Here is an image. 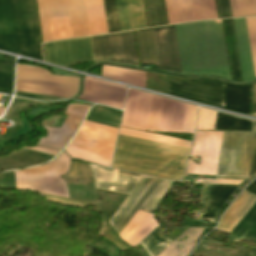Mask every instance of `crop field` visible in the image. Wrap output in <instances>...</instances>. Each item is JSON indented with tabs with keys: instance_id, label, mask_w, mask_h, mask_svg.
<instances>
[{
	"instance_id": "crop-field-58",
	"label": "crop field",
	"mask_w": 256,
	"mask_h": 256,
	"mask_svg": "<svg viewBox=\"0 0 256 256\" xmlns=\"http://www.w3.org/2000/svg\"><path fill=\"white\" fill-rule=\"evenodd\" d=\"M0 97H1V95H0Z\"/></svg>"
},
{
	"instance_id": "crop-field-17",
	"label": "crop field",
	"mask_w": 256,
	"mask_h": 256,
	"mask_svg": "<svg viewBox=\"0 0 256 256\" xmlns=\"http://www.w3.org/2000/svg\"><path fill=\"white\" fill-rule=\"evenodd\" d=\"M237 186L204 184L200 219L214 222L220 208Z\"/></svg>"
},
{
	"instance_id": "crop-field-14",
	"label": "crop field",
	"mask_w": 256,
	"mask_h": 256,
	"mask_svg": "<svg viewBox=\"0 0 256 256\" xmlns=\"http://www.w3.org/2000/svg\"><path fill=\"white\" fill-rule=\"evenodd\" d=\"M89 107L88 105L69 104L64 113L68 117L62 127H45L48 135L46 138H41L38 145L62 149L72 138Z\"/></svg>"
},
{
	"instance_id": "crop-field-47",
	"label": "crop field",
	"mask_w": 256,
	"mask_h": 256,
	"mask_svg": "<svg viewBox=\"0 0 256 256\" xmlns=\"http://www.w3.org/2000/svg\"><path fill=\"white\" fill-rule=\"evenodd\" d=\"M99 235L107 238L108 240L112 241L114 244H116L119 248H121L123 251L128 247L120 242V240L117 238V236L113 233V231L110 229V227L107 225L106 221L103 220V226L99 232Z\"/></svg>"
},
{
	"instance_id": "crop-field-57",
	"label": "crop field",
	"mask_w": 256,
	"mask_h": 256,
	"mask_svg": "<svg viewBox=\"0 0 256 256\" xmlns=\"http://www.w3.org/2000/svg\"><path fill=\"white\" fill-rule=\"evenodd\" d=\"M3 111H4V108H0V116L3 113Z\"/></svg>"
},
{
	"instance_id": "crop-field-46",
	"label": "crop field",
	"mask_w": 256,
	"mask_h": 256,
	"mask_svg": "<svg viewBox=\"0 0 256 256\" xmlns=\"http://www.w3.org/2000/svg\"><path fill=\"white\" fill-rule=\"evenodd\" d=\"M50 17L67 16L65 0H47Z\"/></svg>"
},
{
	"instance_id": "crop-field-31",
	"label": "crop field",
	"mask_w": 256,
	"mask_h": 256,
	"mask_svg": "<svg viewBox=\"0 0 256 256\" xmlns=\"http://www.w3.org/2000/svg\"><path fill=\"white\" fill-rule=\"evenodd\" d=\"M150 27L168 24L164 0H145Z\"/></svg>"
},
{
	"instance_id": "crop-field-12",
	"label": "crop field",
	"mask_w": 256,
	"mask_h": 256,
	"mask_svg": "<svg viewBox=\"0 0 256 256\" xmlns=\"http://www.w3.org/2000/svg\"><path fill=\"white\" fill-rule=\"evenodd\" d=\"M158 68L182 73L174 25L152 29Z\"/></svg>"
},
{
	"instance_id": "crop-field-34",
	"label": "crop field",
	"mask_w": 256,
	"mask_h": 256,
	"mask_svg": "<svg viewBox=\"0 0 256 256\" xmlns=\"http://www.w3.org/2000/svg\"><path fill=\"white\" fill-rule=\"evenodd\" d=\"M195 21L218 18L215 0H192Z\"/></svg>"
},
{
	"instance_id": "crop-field-20",
	"label": "crop field",
	"mask_w": 256,
	"mask_h": 256,
	"mask_svg": "<svg viewBox=\"0 0 256 256\" xmlns=\"http://www.w3.org/2000/svg\"><path fill=\"white\" fill-rule=\"evenodd\" d=\"M255 202L256 196L243 191L224 214L217 230L229 233Z\"/></svg>"
},
{
	"instance_id": "crop-field-37",
	"label": "crop field",
	"mask_w": 256,
	"mask_h": 256,
	"mask_svg": "<svg viewBox=\"0 0 256 256\" xmlns=\"http://www.w3.org/2000/svg\"><path fill=\"white\" fill-rule=\"evenodd\" d=\"M43 42L51 41L52 32L46 0H37Z\"/></svg>"
},
{
	"instance_id": "crop-field-27",
	"label": "crop field",
	"mask_w": 256,
	"mask_h": 256,
	"mask_svg": "<svg viewBox=\"0 0 256 256\" xmlns=\"http://www.w3.org/2000/svg\"><path fill=\"white\" fill-rule=\"evenodd\" d=\"M140 63L156 64L151 29L135 31Z\"/></svg>"
},
{
	"instance_id": "crop-field-3",
	"label": "crop field",
	"mask_w": 256,
	"mask_h": 256,
	"mask_svg": "<svg viewBox=\"0 0 256 256\" xmlns=\"http://www.w3.org/2000/svg\"><path fill=\"white\" fill-rule=\"evenodd\" d=\"M0 49L43 61L34 0H0Z\"/></svg>"
},
{
	"instance_id": "crop-field-11",
	"label": "crop field",
	"mask_w": 256,
	"mask_h": 256,
	"mask_svg": "<svg viewBox=\"0 0 256 256\" xmlns=\"http://www.w3.org/2000/svg\"><path fill=\"white\" fill-rule=\"evenodd\" d=\"M47 62L73 65L93 60L89 37L44 44Z\"/></svg>"
},
{
	"instance_id": "crop-field-39",
	"label": "crop field",
	"mask_w": 256,
	"mask_h": 256,
	"mask_svg": "<svg viewBox=\"0 0 256 256\" xmlns=\"http://www.w3.org/2000/svg\"><path fill=\"white\" fill-rule=\"evenodd\" d=\"M54 40L71 38L67 17L51 18Z\"/></svg>"
},
{
	"instance_id": "crop-field-1",
	"label": "crop field",
	"mask_w": 256,
	"mask_h": 256,
	"mask_svg": "<svg viewBox=\"0 0 256 256\" xmlns=\"http://www.w3.org/2000/svg\"><path fill=\"white\" fill-rule=\"evenodd\" d=\"M175 28L184 74L220 75L231 80L222 23L196 22Z\"/></svg>"
},
{
	"instance_id": "crop-field-23",
	"label": "crop field",
	"mask_w": 256,
	"mask_h": 256,
	"mask_svg": "<svg viewBox=\"0 0 256 256\" xmlns=\"http://www.w3.org/2000/svg\"><path fill=\"white\" fill-rule=\"evenodd\" d=\"M203 229L188 228L171 245H169L159 256H187L195 246ZM180 238L181 242L177 241Z\"/></svg>"
},
{
	"instance_id": "crop-field-32",
	"label": "crop field",
	"mask_w": 256,
	"mask_h": 256,
	"mask_svg": "<svg viewBox=\"0 0 256 256\" xmlns=\"http://www.w3.org/2000/svg\"><path fill=\"white\" fill-rule=\"evenodd\" d=\"M160 230L161 229L156 228L140 243L150 256H157L173 242L172 240L161 236L159 234Z\"/></svg>"
},
{
	"instance_id": "crop-field-51",
	"label": "crop field",
	"mask_w": 256,
	"mask_h": 256,
	"mask_svg": "<svg viewBox=\"0 0 256 256\" xmlns=\"http://www.w3.org/2000/svg\"><path fill=\"white\" fill-rule=\"evenodd\" d=\"M213 183V184H230L239 185L242 181H230V180H214V179H199L196 183Z\"/></svg>"
},
{
	"instance_id": "crop-field-44",
	"label": "crop field",
	"mask_w": 256,
	"mask_h": 256,
	"mask_svg": "<svg viewBox=\"0 0 256 256\" xmlns=\"http://www.w3.org/2000/svg\"><path fill=\"white\" fill-rule=\"evenodd\" d=\"M120 31L130 29L125 0H115Z\"/></svg>"
},
{
	"instance_id": "crop-field-26",
	"label": "crop field",
	"mask_w": 256,
	"mask_h": 256,
	"mask_svg": "<svg viewBox=\"0 0 256 256\" xmlns=\"http://www.w3.org/2000/svg\"><path fill=\"white\" fill-rule=\"evenodd\" d=\"M248 86H233L226 83L225 108L248 114Z\"/></svg>"
},
{
	"instance_id": "crop-field-49",
	"label": "crop field",
	"mask_w": 256,
	"mask_h": 256,
	"mask_svg": "<svg viewBox=\"0 0 256 256\" xmlns=\"http://www.w3.org/2000/svg\"><path fill=\"white\" fill-rule=\"evenodd\" d=\"M147 177V176H146ZM146 179L147 178H145V177H143L141 180H140V182L137 184V186L134 188V190L132 191V192H134L133 194H132V196H131V194L126 198V200L123 202V204L127 201V199H128V201L123 205V207H122V205L120 206V210H119V212H118V210H117V214H114V216L111 218V220L109 221L110 222V224H111V226L113 225V223L116 221V219L119 217V215L122 213V211L125 209V207L128 205V203L131 201V199L134 197V195L137 193V191L140 189V187L143 185V183L146 181ZM148 180V179H147ZM145 184V183H144Z\"/></svg>"
},
{
	"instance_id": "crop-field-4",
	"label": "crop field",
	"mask_w": 256,
	"mask_h": 256,
	"mask_svg": "<svg viewBox=\"0 0 256 256\" xmlns=\"http://www.w3.org/2000/svg\"><path fill=\"white\" fill-rule=\"evenodd\" d=\"M255 132H223L216 179L248 178Z\"/></svg>"
},
{
	"instance_id": "crop-field-2",
	"label": "crop field",
	"mask_w": 256,
	"mask_h": 256,
	"mask_svg": "<svg viewBox=\"0 0 256 256\" xmlns=\"http://www.w3.org/2000/svg\"><path fill=\"white\" fill-rule=\"evenodd\" d=\"M188 150L119 135L112 167L180 180Z\"/></svg>"
},
{
	"instance_id": "crop-field-5",
	"label": "crop field",
	"mask_w": 256,
	"mask_h": 256,
	"mask_svg": "<svg viewBox=\"0 0 256 256\" xmlns=\"http://www.w3.org/2000/svg\"><path fill=\"white\" fill-rule=\"evenodd\" d=\"M70 161L62 151L58 158L48 164L14 172L17 190H36L69 198L66 184L60 176L68 171Z\"/></svg>"
},
{
	"instance_id": "crop-field-33",
	"label": "crop field",
	"mask_w": 256,
	"mask_h": 256,
	"mask_svg": "<svg viewBox=\"0 0 256 256\" xmlns=\"http://www.w3.org/2000/svg\"><path fill=\"white\" fill-rule=\"evenodd\" d=\"M131 29L147 27L143 0H127Z\"/></svg>"
},
{
	"instance_id": "crop-field-43",
	"label": "crop field",
	"mask_w": 256,
	"mask_h": 256,
	"mask_svg": "<svg viewBox=\"0 0 256 256\" xmlns=\"http://www.w3.org/2000/svg\"><path fill=\"white\" fill-rule=\"evenodd\" d=\"M249 34L254 75L256 78V17L246 18Z\"/></svg>"
},
{
	"instance_id": "crop-field-52",
	"label": "crop field",
	"mask_w": 256,
	"mask_h": 256,
	"mask_svg": "<svg viewBox=\"0 0 256 256\" xmlns=\"http://www.w3.org/2000/svg\"><path fill=\"white\" fill-rule=\"evenodd\" d=\"M15 95L36 98V99H43V100L58 99V97L44 96V95H38V94L18 92V91H16Z\"/></svg>"
},
{
	"instance_id": "crop-field-10",
	"label": "crop field",
	"mask_w": 256,
	"mask_h": 256,
	"mask_svg": "<svg viewBox=\"0 0 256 256\" xmlns=\"http://www.w3.org/2000/svg\"><path fill=\"white\" fill-rule=\"evenodd\" d=\"M222 132H196L190 156H200V165L189 160L187 173L215 175Z\"/></svg>"
},
{
	"instance_id": "crop-field-41",
	"label": "crop field",
	"mask_w": 256,
	"mask_h": 256,
	"mask_svg": "<svg viewBox=\"0 0 256 256\" xmlns=\"http://www.w3.org/2000/svg\"><path fill=\"white\" fill-rule=\"evenodd\" d=\"M65 177L88 179L89 184L93 183L91 171L88 164L72 161L71 170L65 175Z\"/></svg>"
},
{
	"instance_id": "crop-field-29",
	"label": "crop field",
	"mask_w": 256,
	"mask_h": 256,
	"mask_svg": "<svg viewBox=\"0 0 256 256\" xmlns=\"http://www.w3.org/2000/svg\"><path fill=\"white\" fill-rule=\"evenodd\" d=\"M252 122L217 113L214 130L251 131Z\"/></svg>"
},
{
	"instance_id": "crop-field-22",
	"label": "crop field",
	"mask_w": 256,
	"mask_h": 256,
	"mask_svg": "<svg viewBox=\"0 0 256 256\" xmlns=\"http://www.w3.org/2000/svg\"><path fill=\"white\" fill-rule=\"evenodd\" d=\"M160 179L150 177L146 184L142 187L139 193L135 196L132 202L128 205V207L124 210L121 216L117 219V221L112 226L113 230L120 234L126 224L130 221L139 207L143 204L149 194L153 191L156 185L159 183Z\"/></svg>"
},
{
	"instance_id": "crop-field-18",
	"label": "crop field",
	"mask_w": 256,
	"mask_h": 256,
	"mask_svg": "<svg viewBox=\"0 0 256 256\" xmlns=\"http://www.w3.org/2000/svg\"><path fill=\"white\" fill-rule=\"evenodd\" d=\"M154 215L138 210L119 235L129 245L135 247L159 224L152 219Z\"/></svg>"
},
{
	"instance_id": "crop-field-50",
	"label": "crop field",
	"mask_w": 256,
	"mask_h": 256,
	"mask_svg": "<svg viewBox=\"0 0 256 256\" xmlns=\"http://www.w3.org/2000/svg\"><path fill=\"white\" fill-rule=\"evenodd\" d=\"M221 18L232 17L229 0H218Z\"/></svg>"
},
{
	"instance_id": "crop-field-8",
	"label": "crop field",
	"mask_w": 256,
	"mask_h": 256,
	"mask_svg": "<svg viewBox=\"0 0 256 256\" xmlns=\"http://www.w3.org/2000/svg\"><path fill=\"white\" fill-rule=\"evenodd\" d=\"M166 93L224 108L225 83L217 79L166 75Z\"/></svg>"
},
{
	"instance_id": "crop-field-45",
	"label": "crop field",
	"mask_w": 256,
	"mask_h": 256,
	"mask_svg": "<svg viewBox=\"0 0 256 256\" xmlns=\"http://www.w3.org/2000/svg\"><path fill=\"white\" fill-rule=\"evenodd\" d=\"M146 88L165 93V75L152 74L147 72Z\"/></svg>"
},
{
	"instance_id": "crop-field-24",
	"label": "crop field",
	"mask_w": 256,
	"mask_h": 256,
	"mask_svg": "<svg viewBox=\"0 0 256 256\" xmlns=\"http://www.w3.org/2000/svg\"><path fill=\"white\" fill-rule=\"evenodd\" d=\"M117 131V128L85 120L77 135L115 145Z\"/></svg>"
},
{
	"instance_id": "crop-field-55",
	"label": "crop field",
	"mask_w": 256,
	"mask_h": 256,
	"mask_svg": "<svg viewBox=\"0 0 256 256\" xmlns=\"http://www.w3.org/2000/svg\"><path fill=\"white\" fill-rule=\"evenodd\" d=\"M252 115L256 116V83H253Z\"/></svg>"
},
{
	"instance_id": "crop-field-42",
	"label": "crop field",
	"mask_w": 256,
	"mask_h": 256,
	"mask_svg": "<svg viewBox=\"0 0 256 256\" xmlns=\"http://www.w3.org/2000/svg\"><path fill=\"white\" fill-rule=\"evenodd\" d=\"M215 111L200 108L196 130H213Z\"/></svg>"
},
{
	"instance_id": "crop-field-40",
	"label": "crop field",
	"mask_w": 256,
	"mask_h": 256,
	"mask_svg": "<svg viewBox=\"0 0 256 256\" xmlns=\"http://www.w3.org/2000/svg\"><path fill=\"white\" fill-rule=\"evenodd\" d=\"M108 33L119 31L114 0H103Z\"/></svg>"
},
{
	"instance_id": "crop-field-6",
	"label": "crop field",
	"mask_w": 256,
	"mask_h": 256,
	"mask_svg": "<svg viewBox=\"0 0 256 256\" xmlns=\"http://www.w3.org/2000/svg\"><path fill=\"white\" fill-rule=\"evenodd\" d=\"M79 78L51 75L50 71L17 64L15 90L69 98L78 92Z\"/></svg>"
},
{
	"instance_id": "crop-field-28",
	"label": "crop field",
	"mask_w": 256,
	"mask_h": 256,
	"mask_svg": "<svg viewBox=\"0 0 256 256\" xmlns=\"http://www.w3.org/2000/svg\"><path fill=\"white\" fill-rule=\"evenodd\" d=\"M121 114L122 111L97 105L86 120L118 128Z\"/></svg>"
},
{
	"instance_id": "crop-field-53",
	"label": "crop field",
	"mask_w": 256,
	"mask_h": 256,
	"mask_svg": "<svg viewBox=\"0 0 256 256\" xmlns=\"http://www.w3.org/2000/svg\"><path fill=\"white\" fill-rule=\"evenodd\" d=\"M255 173H256V138H255V144H254V150H253V156H252L249 177L254 175Z\"/></svg>"
},
{
	"instance_id": "crop-field-48",
	"label": "crop field",
	"mask_w": 256,
	"mask_h": 256,
	"mask_svg": "<svg viewBox=\"0 0 256 256\" xmlns=\"http://www.w3.org/2000/svg\"><path fill=\"white\" fill-rule=\"evenodd\" d=\"M41 196L47 197V200H49L51 202H55V203H59V204H63V205H69V206L82 207L83 203H97V202L79 201V200H73V199L52 197V196H46V195H42V194H41Z\"/></svg>"
},
{
	"instance_id": "crop-field-56",
	"label": "crop field",
	"mask_w": 256,
	"mask_h": 256,
	"mask_svg": "<svg viewBox=\"0 0 256 256\" xmlns=\"http://www.w3.org/2000/svg\"><path fill=\"white\" fill-rule=\"evenodd\" d=\"M245 190L256 195V180L253 183H251Z\"/></svg>"
},
{
	"instance_id": "crop-field-38",
	"label": "crop field",
	"mask_w": 256,
	"mask_h": 256,
	"mask_svg": "<svg viewBox=\"0 0 256 256\" xmlns=\"http://www.w3.org/2000/svg\"><path fill=\"white\" fill-rule=\"evenodd\" d=\"M233 17L256 15V0H230Z\"/></svg>"
},
{
	"instance_id": "crop-field-19",
	"label": "crop field",
	"mask_w": 256,
	"mask_h": 256,
	"mask_svg": "<svg viewBox=\"0 0 256 256\" xmlns=\"http://www.w3.org/2000/svg\"><path fill=\"white\" fill-rule=\"evenodd\" d=\"M243 82L254 79L245 18L233 20Z\"/></svg>"
},
{
	"instance_id": "crop-field-25",
	"label": "crop field",
	"mask_w": 256,
	"mask_h": 256,
	"mask_svg": "<svg viewBox=\"0 0 256 256\" xmlns=\"http://www.w3.org/2000/svg\"><path fill=\"white\" fill-rule=\"evenodd\" d=\"M235 242L247 240L256 242V203L229 233Z\"/></svg>"
},
{
	"instance_id": "crop-field-16",
	"label": "crop field",
	"mask_w": 256,
	"mask_h": 256,
	"mask_svg": "<svg viewBox=\"0 0 256 256\" xmlns=\"http://www.w3.org/2000/svg\"><path fill=\"white\" fill-rule=\"evenodd\" d=\"M90 166L94 173L95 185L98 188L129 194L142 177L118 170Z\"/></svg>"
},
{
	"instance_id": "crop-field-30",
	"label": "crop field",
	"mask_w": 256,
	"mask_h": 256,
	"mask_svg": "<svg viewBox=\"0 0 256 256\" xmlns=\"http://www.w3.org/2000/svg\"><path fill=\"white\" fill-rule=\"evenodd\" d=\"M229 54L235 82H242L232 20H224Z\"/></svg>"
},
{
	"instance_id": "crop-field-36",
	"label": "crop field",
	"mask_w": 256,
	"mask_h": 256,
	"mask_svg": "<svg viewBox=\"0 0 256 256\" xmlns=\"http://www.w3.org/2000/svg\"><path fill=\"white\" fill-rule=\"evenodd\" d=\"M14 62L0 61V92L12 94Z\"/></svg>"
},
{
	"instance_id": "crop-field-15",
	"label": "crop field",
	"mask_w": 256,
	"mask_h": 256,
	"mask_svg": "<svg viewBox=\"0 0 256 256\" xmlns=\"http://www.w3.org/2000/svg\"><path fill=\"white\" fill-rule=\"evenodd\" d=\"M114 147L113 145L75 136L64 151L74 159L110 166Z\"/></svg>"
},
{
	"instance_id": "crop-field-54",
	"label": "crop field",
	"mask_w": 256,
	"mask_h": 256,
	"mask_svg": "<svg viewBox=\"0 0 256 256\" xmlns=\"http://www.w3.org/2000/svg\"><path fill=\"white\" fill-rule=\"evenodd\" d=\"M28 149L40 151V152L50 154V155H53V156H55L59 152L58 150L49 149V148H45V147H33V148H28Z\"/></svg>"
},
{
	"instance_id": "crop-field-21",
	"label": "crop field",
	"mask_w": 256,
	"mask_h": 256,
	"mask_svg": "<svg viewBox=\"0 0 256 256\" xmlns=\"http://www.w3.org/2000/svg\"><path fill=\"white\" fill-rule=\"evenodd\" d=\"M72 38L90 35L85 0H66Z\"/></svg>"
},
{
	"instance_id": "crop-field-35",
	"label": "crop field",
	"mask_w": 256,
	"mask_h": 256,
	"mask_svg": "<svg viewBox=\"0 0 256 256\" xmlns=\"http://www.w3.org/2000/svg\"><path fill=\"white\" fill-rule=\"evenodd\" d=\"M171 181L161 180L151 195L147 198L144 204L141 206L140 210L152 213L157 207L161 199L166 194Z\"/></svg>"
},
{
	"instance_id": "crop-field-9",
	"label": "crop field",
	"mask_w": 256,
	"mask_h": 256,
	"mask_svg": "<svg viewBox=\"0 0 256 256\" xmlns=\"http://www.w3.org/2000/svg\"><path fill=\"white\" fill-rule=\"evenodd\" d=\"M94 61L138 66L133 33L122 32L90 37Z\"/></svg>"
},
{
	"instance_id": "crop-field-13",
	"label": "crop field",
	"mask_w": 256,
	"mask_h": 256,
	"mask_svg": "<svg viewBox=\"0 0 256 256\" xmlns=\"http://www.w3.org/2000/svg\"><path fill=\"white\" fill-rule=\"evenodd\" d=\"M126 86L85 77L84 91L78 99L121 109L123 107Z\"/></svg>"
},
{
	"instance_id": "crop-field-7",
	"label": "crop field",
	"mask_w": 256,
	"mask_h": 256,
	"mask_svg": "<svg viewBox=\"0 0 256 256\" xmlns=\"http://www.w3.org/2000/svg\"><path fill=\"white\" fill-rule=\"evenodd\" d=\"M197 107L155 96L147 131L192 133Z\"/></svg>"
}]
</instances>
